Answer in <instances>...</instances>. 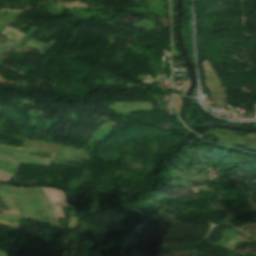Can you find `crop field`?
I'll return each mask as SVG.
<instances>
[{
	"instance_id": "obj_3",
	"label": "crop field",
	"mask_w": 256,
	"mask_h": 256,
	"mask_svg": "<svg viewBox=\"0 0 256 256\" xmlns=\"http://www.w3.org/2000/svg\"><path fill=\"white\" fill-rule=\"evenodd\" d=\"M0 193L10 195L7 184H4V185L0 186Z\"/></svg>"
},
{
	"instance_id": "obj_1",
	"label": "crop field",
	"mask_w": 256,
	"mask_h": 256,
	"mask_svg": "<svg viewBox=\"0 0 256 256\" xmlns=\"http://www.w3.org/2000/svg\"><path fill=\"white\" fill-rule=\"evenodd\" d=\"M38 151H48V150L37 149V148L16 149V148L0 146V158H7L11 161L17 160L24 163H28V161H30L33 163L49 166L52 159H41V158H37L29 155L30 152H38ZM48 152L54 153L53 151H48Z\"/></svg>"
},
{
	"instance_id": "obj_2",
	"label": "crop field",
	"mask_w": 256,
	"mask_h": 256,
	"mask_svg": "<svg viewBox=\"0 0 256 256\" xmlns=\"http://www.w3.org/2000/svg\"><path fill=\"white\" fill-rule=\"evenodd\" d=\"M2 35H5V36H7V38L8 39H12V40H15V41H19L20 40V38L23 36V34H21V33H19V32H16V31H14V30H11V29H9V28H7L6 27V29L3 31V33H2ZM16 42V43H17ZM15 43V44H16ZM14 44V45H15ZM14 45H12V44H10V43H6L4 46H1L0 45V53L1 52H4V51H9V49L11 48V47H13Z\"/></svg>"
}]
</instances>
